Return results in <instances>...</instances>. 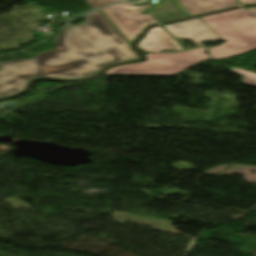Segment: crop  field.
Instances as JSON below:
<instances>
[{"label": "crop field", "instance_id": "1", "mask_svg": "<svg viewBox=\"0 0 256 256\" xmlns=\"http://www.w3.org/2000/svg\"><path fill=\"white\" fill-rule=\"evenodd\" d=\"M82 17V24H68L60 30L54 39L55 50L41 52L32 59L0 63V98L23 91L34 78L89 77L107 65L139 59L99 10Z\"/></svg>", "mask_w": 256, "mask_h": 256}, {"label": "crop field", "instance_id": "2", "mask_svg": "<svg viewBox=\"0 0 256 256\" xmlns=\"http://www.w3.org/2000/svg\"><path fill=\"white\" fill-rule=\"evenodd\" d=\"M200 19L226 41L209 48L212 60L230 58L256 49V7L222 12Z\"/></svg>", "mask_w": 256, "mask_h": 256}, {"label": "crop field", "instance_id": "3", "mask_svg": "<svg viewBox=\"0 0 256 256\" xmlns=\"http://www.w3.org/2000/svg\"><path fill=\"white\" fill-rule=\"evenodd\" d=\"M204 47L180 53L145 54L146 60L107 69L103 75H175L209 59Z\"/></svg>", "mask_w": 256, "mask_h": 256}, {"label": "crop field", "instance_id": "4", "mask_svg": "<svg viewBox=\"0 0 256 256\" xmlns=\"http://www.w3.org/2000/svg\"><path fill=\"white\" fill-rule=\"evenodd\" d=\"M143 6H133L132 4H117L101 9L111 23L132 42L134 38L142 32L150 23L157 22L152 15H141Z\"/></svg>", "mask_w": 256, "mask_h": 256}, {"label": "crop field", "instance_id": "5", "mask_svg": "<svg viewBox=\"0 0 256 256\" xmlns=\"http://www.w3.org/2000/svg\"><path fill=\"white\" fill-rule=\"evenodd\" d=\"M175 38H183L191 40L198 46L201 41L210 40L216 41L222 39L217 35L212 29H210L205 23H203L199 18L165 25L164 26Z\"/></svg>", "mask_w": 256, "mask_h": 256}, {"label": "crop field", "instance_id": "6", "mask_svg": "<svg viewBox=\"0 0 256 256\" xmlns=\"http://www.w3.org/2000/svg\"><path fill=\"white\" fill-rule=\"evenodd\" d=\"M138 47L144 52H161L162 49L183 50L182 46L160 27L150 30Z\"/></svg>", "mask_w": 256, "mask_h": 256}, {"label": "crop field", "instance_id": "7", "mask_svg": "<svg viewBox=\"0 0 256 256\" xmlns=\"http://www.w3.org/2000/svg\"><path fill=\"white\" fill-rule=\"evenodd\" d=\"M190 16L238 6L236 0H179Z\"/></svg>", "mask_w": 256, "mask_h": 256}, {"label": "crop field", "instance_id": "8", "mask_svg": "<svg viewBox=\"0 0 256 256\" xmlns=\"http://www.w3.org/2000/svg\"><path fill=\"white\" fill-rule=\"evenodd\" d=\"M159 22L188 17L189 14L178 2V0L161 1L150 8Z\"/></svg>", "mask_w": 256, "mask_h": 256}, {"label": "crop field", "instance_id": "9", "mask_svg": "<svg viewBox=\"0 0 256 256\" xmlns=\"http://www.w3.org/2000/svg\"><path fill=\"white\" fill-rule=\"evenodd\" d=\"M230 70L239 75H243V81L245 84L256 87V73L246 71L240 68H230Z\"/></svg>", "mask_w": 256, "mask_h": 256}, {"label": "crop field", "instance_id": "10", "mask_svg": "<svg viewBox=\"0 0 256 256\" xmlns=\"http://www.w3.org/2000/svg\"><path fill=\"white\" fill-rule=\"evenodd\" d=\"M92 9L106 6L117 1H129V0H86ZM136 1V0H135ZM86 2V3H87Z\"/></svg>", "mask_w": 256, "mask_h": 256}, {"label": "crop field", "instance_id": "11", "mask_svg": "<svg viewBox=\"0 0 256 256\" xmlns=\"http://www.w3.org/2000/svg\"><path fill=\"white\" fill-rule=\"evenodd\" d=\"M241 5L243 4H256V0H239Z\"/></svg>", "mask_w": 256, "mask_h": 256}]
</instances>
